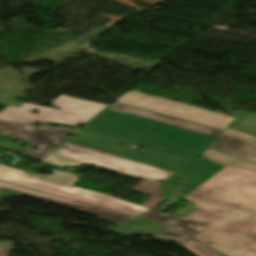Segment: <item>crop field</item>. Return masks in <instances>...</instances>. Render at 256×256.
<instances>
[{
    "label": "crop field",
    "mask_w": 256,
    "mask_h": 256,
    "mask_svg": "<svg viewBox=\"0 0 256 256\" xmlns=\"http://www.w3.org/2000/svg\"><path fill=\"white\" fill-rule=\"evenodd\" d=\"M34 130L35 128L31 126L0 121V132L19 138L23 141H29Z\"/></svg>",
    "instance_id": "16"
},
{
    "label": "crop field",
    "mask_w": 256,
    "mask_h": 256,
    "mask_svg": "<svg viewBox=\"0 0 256 256\" xmlns=\"http://www.w3.org/2000/svg\"><path fill=\"white\" fill-rule=\"evenodd\" d=\"M224 134H227V135H230V136H233V137L242 139V140H244V141H247V142L256 144V138H255V137L246 135V134H244V133L235 131V130L230 129V128H229L227 131H225Z\"/></svg>",
    "instance_id": "22"
},
{
    "label": "crop field",
    "mask_w": 256,
    "mask_h": 256,
    "mask_svg": "<svg viewBox=\"0 0 256 256\" xmlns=\"http://www.w3.org/2000/svg\"><path fill=\"white\" fill-rule=\"evenodd\" d=\"M4 189L14 191V192H18V193H22V194L32 196V197H35V198L45 199V200H48L51 203H53L55 205H58V206L76 209L80 212H83V213H86V214H89V215H93V216H97V217H99L103 220H106L110 223H113L115 225H118V224H120V223H122V222H124L128 219L134 218L133 216L117 213V212L110 211V210H107V209H103V208H99V207H96V206H92V205H88V204H84V203L64 199V198H61V197H57V196L49 195V194H46V193H42V192L22 188V187H19V186H15V185L8 184V183L0 181V192Z\"/></svg>",
    "instance_id": "9"
},
{
    "label": "crop field",
    "mask_w": 256,
    "mask_h": 256,
    "mask_svg": "<svg viewBox=\"0 0 256 256\" xmlns=\"http://www.w3.org/2000/svg\"><path fill=\"white\" fill-rule=\"evenodd\" d=\"M222 168L204 158L194 159L164 181L163 191L167 199L179 202Z\"/></svg>",
    "instance_id": "8"
},
{
    "label": "crop field",
    "mask_w": 256,
    "mask_h": 256,
    "mask_svg": "<svg viewBox=\"0 0 256 256\" xmlns=\"http://www.w3.org/2000/svg\"><path fill=\"white\" fill-rule=\"evenodd\" d=\"M226 166L187 195L175 215L213 224L195 239L227 256H256V164L208 148L202 154Z\"/></svg>",
    "instance_id": "1"
},
{
    "label": "crop field",
    "mask_w": 256,
    "mask_h": 256,
    "mask_svg": "<svg viewBox=\"0 0 256 256\" xmlns=\"http://www.w3.org/2000/svg\"><path fill=\"white\" fill-rule=\"evenodd\" d=\"M59 110L46 108L29 103H23L19 108L8 106L0 112V119L16 121L25 124L44 121L77 126L78 123L86 124L107 106L69 98L60 95L52 102ZM32 110L40 111L38 115L29 113Z\"/></svg>",
    "instance_id": "3"
},
{
    "label": "crop field",
    "mask_w": 256,
    "mask_h": 256,
    "mask_svg": "<svg viewBox=\"0 0 256 256\" xmlns=\"http://www.w3.org/2000/svg\"><path fill=\"white\" fill-rule=\"evenodd\" d=\"M140 217L169 225L174 220H176L179 216L165 214V213H161V212L152 210Z\"/></svg>",
    "instance_id": "19"
},
{
    "label": "crop field",
    "mask_w": 256,
    "mask_h": 256,
    "mask_svg": "<svg viewBox=\"0 0 256 256\" xmlns=\"http://www.w3.org/2000/svg\"><path fill=\"white\" fill-rule=\"evenodd\" d=\"M238 118L230 125V128L256 137V114L251 115L242 110L236 112Z\"/></svg>",
    "instance_id": "14"
},
{
    "label": "crop field",
    "mask_w": 256,
    "mask_h": 256,
    "mask_svg": "<svg viewBox=\"0 0 256 256\" xmlns=\"http://www.w3.org/2000/svg\"><path fill=\"white\" fill-rule=\"evenodd\" d=\"M166 225L142 220V219H134L114 230L112 232L128 236V235H136V234H158Z\"/></svg>",
    "instance_id": "13"
},
{
    "label": "crop field",
    "mask_w": 256,
    "mask_h": 256,
    "mask_svg": "<svg viewBox=\"0 0 256 256\" xmlns=\"http://www.w3.org/2000/svg\"><path fill=\"white\" fill-rule=\"evenodd\" d=\"M42 162H44L48 165L51 163L50 166L80 167L81 165H83V163H79L76 161H72V160H68V159H64V158H60V157H56V156H52V155L47 157Z\"/></svg>",
    "instance_id": "21"
},
{
    "label": "crop field",
    "mask_w": 256,
    "mask_h": 256,
    "mask_svg": "<svg viewBox=\"0 0 256 256\" xmlns=\"http://www.w3.org/2000/svg\"><path fill=\"white\" fill-rule=\"evenodd\" d=\"M0 137H5V138H8V139L21 141L19 139L13 138V137L8 136V135H5L3 133H0ZM21 142H23V141H21ZM23 143L28 144V142H23ZM0 149L11 150V151H16V152H20V151L23 150V148H21L19 146L12 145V144H6V143H0Z\"/></svg>",
    "instance_id": "23"
},
{
    "label": "crop field",
    "mask_w": 256,
    "mask_h": 256,
    "mask_svg": "<svg viewBox=\"0 0 256 256\" xmlns=\"http://www.w3.org/2000/svg\"><path fill=\"white\" fill-rule=\"evenodd\" d=\"M68 134H74V132L64 127L57 129L44 124L36 130L30 141V145H34L39 150H26L22 155L41 160L64 142Z\"/></svg>",
    "instance_id": "10"
},
{
    "label": "crop field",
    "mask_w": 256,
    "mask_h": 256,
    "mask_svg": "<svg viewBox=\"0 0 256 256\" xmlns=\"http://www.w3.org/2000/svg\"><path fill=\"white\" fill-rule=\"evenodd\" d=\"M212 223L180 217L170 226L193 237Z\"/></svg>",
    "instance_id": "15"
},
{
    "label": "crop field",
    "mask_w": 256,
    "mask_h": 256,
    "mask_svg": "<svg viewBox=\"0 0 256 256\" xmlns=\"http://www.w3.org/2000/svg\"><path fill=\"white\" fill-rule=\"evenodd\" d=\"M210 148L256 163V145L224 134Z\"/></svg>",
    "instance_id": "12"
},
{
    "label": "crop field",
    "mask_w": 256,
    "mask_h": 256,
    "mask_svg": "<svg viewBox=\"0 0 256 256\" xmlns=\"http://www.w3.org/2000/svg\"><path fill=\"white\" fill-rule=\"evenodd\" d=\"M10 248L0 244V256H7L10 252Z\"/></svg>",
    "instance_id": "24"
},
{
    "label": "crop field",
    "mask_w": 256,
    "mask_h": 256,
    "mask_svg": "<svg viewBox=\"0 0 256 256\" xmlns=\"http://www.w3.org/2000/svg\"><path fill=\"white\" fill-rule=\"evenodd\" d=\"M182 246L197 256H224L192 239Z\"/></svg>",
    "instance_id": "18"
},
{
    "label": "crop field",
    "mask_w": 256,
    "mask_h": 256,
    "mask_svg": "<svg viewBox=\"0 0 256 256\" xmlns=\"http://www.w3.org/2000/svg\"><path fill=\"white\" fill-rule=\"evenodd\" d=\"M97 138H102V140H98ZM105 138L106 137L95 135L88 132H79L76 135H74L70 140H68V142L109 152L135 161H139V159L142 158L144 160L139 162L172 170L174 172L178 170L181 166H183L186 162H188V160H184L178 157H174L150 149L143 152L142 156H139L138 153L130 151L129 149L120 148L118 145L121 143H119L117 140H113L110 138L109 140H106ZM84 140H87V142H85ZM102 143L106 144L103 145ZM112 143H115V145H112ZM124 145L130 144L124 143ZM159 157L164 158V160L159 159Z\"/></svg>",
    "instance_id": "7"
},
{
    "label": "crop field",
    "mask_w": 256,
    "mask_h": 256,
    "mask_svg": "<svg viewBox=\"0 0 256 256\" xmlns=\"http://www.w3.org/2000/svg\"><path fill=\"white\" fill-rule=\"evenodd\" d=\"M116 102L224 130L234 118L144 93L129 91Z\"/></svg>",
    "instance_id": "6"
},
{
    "label": "crop field",
    "mask_w": 256,
    "mask_h": 256,
    "mask_svg": "<svg viewBox=\"0 0 256 256\" xmlns=\"http://www.w3.org/2000/svg\"><path fill=\"white\" fill-rule=\"evenodd\" d=\"M116 106H120L121 108H116ZM107 108L117 110V111H121V112L128 113V114H132V115L139 116V117H142V118L150 119V120H153V121H156V122L168 124V125H171V126L183 128V129H186V130H190V131L197 132V133L207 135V136H210V137H214V138H216L217 135L220 132H222L220 130L212 129V128L205 127V126H202V125H198V124H194V123L187 122V121H184V120H180V119H177V118H173V117H170V116H166V115H162V114H158V113L138 109V108L131 107V106L124 105V104H120V103L110 104ZM122 108H124V110Z\"/></svg>",
    "instance_id": "11"
},
{
    "label": "crop field",
    "mask_w": 256,
    "mask_h": 256,
    "mask_svg": "<svg viewBox=\"0 0 256 256\" xmlns=\"http://www.w3.org/2000/svg\"><path fill=\"white\" fill-rule=\"evenodd\" d=\"M151 237H165L179 243L180 245L191 239L188 236L170 228L169 226L158 235H151Z\"/></svg>",
    "instance_id": "20"
},
{
    "label": "crop field",
    "mask_w": 256,
    "mask_h": 256,
    "mask_svg": "<svg viewBox=\"0 0 256 256\" xmlns=\"http://www.w3.org/2000/svg\"><path fill=\"white\" fill-rule=\"evenodd\" d=\"M52 155L84 162L155 184H159V181L167 179L174 173L68 142L59 147Z\"/></svg>",
    "instance_id": "4"
},
{
    "label": "crop field",
    "mask_w": 256,
    "mask_h": 256,
    "mask_svg": "<svg viewBox=\"0 0 256 256\" xmlns=\"http://www.w3.org/2000/svg\"><path fill=\"white\" fill-rule=\"evenodd\" d=\"M33 178L52 182V183L59 184V185L69 187V188H72L73 185L79 180V178L76 177L75 174L61 172V171H57L53 175L36 174V176Z\"/></svg>",
    "instance_id": "17"
},
{
    "label": "crop field",
    "mask_w": 256,
    "mask_h": 256,
    "mask_svg": "<svg viewBox=\"0 0 256 256\" xmlns=\"http://www.w3.org/2000/svg\"><path fill=\"white\" fill-rule=\"evenodd\" d=\"M33 175L26 174L23 170L9 168L0 164V180L23 185L48 193L72 198L86 203L102 206L115 211L137 216L148 210L141 206L89 190L73 187L65 188L59 185L35 180Z\"/></svg>",
    "instance_id": "5"
},
{
    "label": "crop field",
    "mask_w": 256,
    "mask_h": 256,
    "mask_svg": "<svg viewBox=\"0 0 256 256\" xmlns=\"http://www.w3.org/2000/svg\"><path fill=\"white\" fill-rule=\"evenodd\" d=\"M84 130L192 159L214 138L105 109Z\"/></svg>",
    "instance_id": "2"
}]
</instances>
